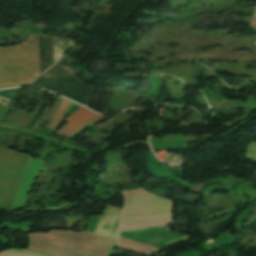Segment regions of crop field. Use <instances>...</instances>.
Here are the masks:
<instances>
[{"label":"crop field","mask_w":256,"mask_h":256,"mask_svg":"<svg viewBox=\"0 0 256 256\" xmlns=\"http://www.w3.org/2000/svg\"><path fill=\"white\" fill-rule=\"evenodd\" d=\"M28 248L52 256H108L116 241L73 231L28 234Z\"/></svg>","instance_id":"obj_1"},{"label":"crop field","mask_w":256,"mask_h":256,"mask_svg":"<svg viewBox=\"0 0 256 256\" xmlns=\"http://www.w3.org/2000/svg\"><path fill=\"white\" fill-rule=\"evenodd\" d=\"M38 77L36 35L0 48V88L29 84Z\"/></svg>","instance_id":"obj_2"},{"label":"crop field","mask_w":256,"mask_h":256,"mask_svg":"<svg viewBox=\"0 0 256 256\" xmlns=\"http://www.w3.org/2000/svg\"><path fill=\"white\" fill-rule=\"evenodd\" d=\"M28 157L0 145V208H11Z\"/></svg>","instance_id":"obj_3"},{"label":"crop field","mask_w":256,"mask_h":256,"mask_svg":"<svg viewBox=\"0 0 256 256\" xmlns=\"http://www.w3.org/2000/svg\"><path fill=\"white\" fill-rule=\"evenodd\" d=\"M119 235L159 248L177 239L183 240L190 237L189 235L168 231L158 227L120 232Z\"/></svg>","instance_id":"obj_4"},{"label":"crop field","mask_w":256,"mask_h":256,"mask_svg":"<svg viewBox=\"0 0 256 256\" xmlns=\"http://www.w3.org/2000/svg\"><path fill=\"white\" fill-rule=\"evenodd\" d=\"M101 117L104 116H98L95 113L81 107L65 120L67 123L59 130L56 135L69 137L71 133H73L79 126L85 124V122Z\"/></svg>","instance_id":"obj_5"},{"label":"crop field","mask_w":256,"mask_h":256,"mask_svg":"<svg viewBox=\"0 0 256 256\" xmlns=\"http://www.w3.org/2000/svg\"><path fill=\"white\" fill-rule=\"evenodd\" d=\"M157 162L158 161L152 156L151 152H149L147 155V168L151 174H153L154 176H156L158 178H168L172 181L181 183L187 187L192 186L189 183H186L184 181H181V180L173 177L165 167L159 166V164Z\"/></svg>","instance_id":"obj_6"},{"label":"crop field","mask_w":256,"mask_h":256,"mask_svg":"<svg viewBox=\"0 0 256 256\" xmlns=\"http://www.w3.org/2000/svg\"><path fill=\"white\" fill-rule=\"evenodd\" d=\"M118 247L129 250V251H133V252H136V253H139V254H143V255H146V256H148L152 251H157L158 250V248H154V247H151V246H148V245H144V244L137 243V242H134V241H130V240L120 238V237H119Z\"/></svg>","instance_id":"obj_7"},{"label":"crop field","mask_w":256,"mask_h":256,"mask_svg":"<svg viewBox=\"0 0 256 256\" xmlns=\"http://www.w3.org/2000/svg\"><path fill=\"white\" fill-rule=\"evenodd\" d=\"M71 105V102L63 99L62 103L60 104L56 114L54 115L53 119L51 120L50 124H53L57 126V124L60 122L62 117L65 115L67 109Z\"/></svg>","instance_id":"obj_8"},{"label":"crop field","mask_w":256,"mask_h":256,"mask_svg":"<svg viewBox=\"0 0 256 256\" xmlns=\"http://www.w3.org/2000/svg\"><path fill=\"white\" fill-rule=\"evenodd\" d=\"M245 159L256 160V142H251L246 150Z\"/></svg>","instance_id":"obj_9"},{"label":"crop field","mask_w":256,"mask_h":256,"mask_svg":"<svg viewBox=\"0 0 256 256\" xmlns=\"http://www.w3.org/2000/svg\"><path fill=\"white\" fill-rule=\"evenodd\" d=\"M19 89L20 88L0 91V96L7 97V98L15 100L16 97H17Z\"/></svg>","instance_id":"obj_10"},{"label":"crop field","mask_w":256,"mask_h":256,"mask_svg":"<svg viewBox=\"0 0 256 256\" xmlns=\"http://www.w3.org/2000/svg\"><path fill=\"white\" fill-rule=\"evenodd\" d=\"M169 148L186 149V146H185L184 142H181V143L161 146V147H157V148H153V149H169Z\"/></svg>","instance_id":"obj_11"},{"label":"crop field","mask_w":256,"mask_h":256,"mask_svg":"<svg viewBox=\"0 0 256 256\" xmlns=\"http://www.w3.org/2000/svg\"><path fill=\"white\" fill-rule=\"evenodd\" d=\"M171 168V167H170ZM172 171L177 174L178 176L182 177L183 178V175H182V169L180 166H177L175 165L174 168H171Z\"/></svg>","instance_id":"obj_12"},{"label":"crop field","mask_w":256,"mask_h":256,"mask_svg":"<svg viewBox=\"0 0 256 256\" xmlns=\"http://www.w3.org/2000/svg\"><path fill=\"white\" fill-rule=\"evenodd\" d=\"M78 108H80V106H78V105L72 103V105H71V107L69 108L68 112L72 114V113L75 112Z\"/></svg>","instance_id":"obj_13"},{"label":"crop field","mask_w":256,"mask_h":256,"mask_svg":"<svg viewBox=\"0 0 256 256\" xmlns=\"http://www.w3.org/2000/svg\"><path fill=\"white\" fill-rule=\"evenodd\" d=\"M251 25H252V27H256V19H253Z\"/></svg>","instance_id":"obj_14"},{"label":"crop field","mask_w":256,"mask_h":256,"mask_svg":"<svg viewBox=\"0 0 256 256\" xmlns=\"http://www.w3.org/2000/svg\"><path fill=\"white\" fill-rule=\"evenodd\" d=\"M256 18V17H255Z\"/></svg>","instance_id":"obj_15"}]
</instances>
